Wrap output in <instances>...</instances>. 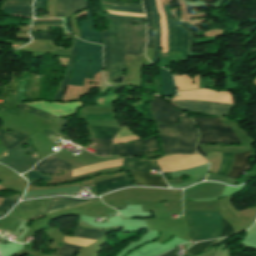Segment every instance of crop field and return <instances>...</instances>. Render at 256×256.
Instances as JSON below:
<instances>
[{"label": "crop field", "mask_w": 256, "mask_h": 256, "mask_svg": "<svg viewBox=\"0 0 256 256\" xmlns=\"http://www.w3.org/2000/svg\"><path fill=\"white\" fill-rule=\"evenodd\" d=\"M68 3H69V0H58L57 1L56 17H66L69 15Z\"/></svg>", "instance_id": "obj_37"}, {"label": "crop field", "mask_w": 256, "mask_h": 256, "mask_svg": "<svg viewBox=\"0 0 256 256\" xmlns=\"http://www.w3.org/2000/svg\"><path fill=\"white\" fill-rule=\"evenodd\" d=\"M160 150L157 136L154 135L142 141L112 147V154L140 157L142 153Z\"/></svg>", "instance_id": "obj_11"}, {"label": "crop field", "mask_w": 256, "mask_h": 256, "mask_svg": "<svg viewBox=\"0 0 256 256\" xmlns=\"http://www.w3.org/2000/svg\"><path fill=\"white\" fill-rule=\"evenodd\" d=\"M32 39L55 40L49 37V32H31Z\"/></svg>", "instance_id": "obj_42"}, {"label": "crop field", "mask_w": 256, "mask_h": 256, "mask_svg": "<svg viewBox=\"0 0 256 256\" xmlns=\"http://www.w3.org/2000/svg\"><path fill=\"white\" fill-rule=\"evenodd\" d=\"M27 137L28 136L16 131L8 133L0 130V140L8 150L19 144Z\"/></svg>", "instance_id": "obj_27"}, {"label": "crop field", "mask_w": 256, "mask_h": 256, "mask_svg": "<svg viewBox=\"0 0 256 256\" xmlns=\"http://www.w3.org/2000/svg\"><path fill=\"white\" fill-rule=\"evenodd\" d=\"M168 82H169V87H170V91L172 94H177L174 82H173V78L172 75L168 72Z\"/></svg>", "instance_id": "obj_48"}, {"label": "crop field", "mask_w": 256, "mask_h": 256, "mask_svg": "<svg viewBox=\"0 0 256 256\" xmlns=\"http://www.w3.org/2000/svg\"><path fill=\"white\" fill-rule=\"evenodd\" d=\"M163 172L178 171L191 168L207 161L198 154L168 155L157 160Z\"/></svg>", "instance_id": "obj_10"}, {"label": "crop field", "mask_w": 256, "mask_h": 256, "mask_svg": "<svg viewBox=\"0 0 256 256\" xmlns=\"http://www.w3.org/2000/svg\"><path fill=\"white\" fill-rule=\"evenodd\" d=\"M255 30H256V24L253 25L252 27H250V28H249L248 30H246V31L252 33V32H254Z\"/></svg>", "instance_id": "obj_55"}, {"label": "crop field", "mask_w": 256, "mask_h": 256, "mask_svg": "<svg viewBox=\"0 0 256 256\" xmlns=\"http://www.w3.org/2000/svg\"><path fill=\"white\" fill-rule=\"evenodd\" d=\"M156 124L158 126L159 137L162 141V147L165 154L180 153L177 129L181 153H194V145L198 135L188 116L184 115L181 118L180 123L176 126L177 129L175 126Z\"/></svg>", "instance_id": "obj_2"}, {"label": "crop field", "mask_w": 256, "mask_h": 256, "mask_svg": "<svg viewBox=\"0 0 256 256\" xmlns=\"http://www.w3.org/2000/svg\"><path fill=\"white\" fill-rule=\"evenodd\" d=\"M124 164L131 171H136V172H149V169H159L156 161H152V160H139L135 158H125Z\"/></svg>", "instance_id": "obj_24"}, {"label": "crop field", "mask_w": 256, "mask_h": 256, "mask_svg": "<svg viewBox=\"0 0 256 256\" xmlns=\"http://www.w3.org/2000/svg\"><path fill=\"white\" fill-rule=\"evenodd\" d=\"M143 2H144V9L147 14V25H148V46L147 47H153V28H152L151 14L149 9V2L148 0H143Z\"/></svg>", "instance_id": "obj_33"}, {"label": "crop field", "mask_w": 256, "mask_h": 256, "mask_svg": "<svg viewBox=\"0 0 256 256\" xmlns=\"http://www.w3.org/2000/svg\"><path fill=\"white\" fill-rule=\"evenodd\" d=\"M20 196L21 194L5 198L0 204V216L5 215L12 208V206L17 203Z\"/></svg>", "instance_id": "obj_32"}, {"label": "crop field", "mask_w": 256, "mask_h": 256, "mask_svg": "<svg viewBox=\"0 0 256 256\" xmlns=\"http://www.w3.org/2000/svg\"><path fill=\"white\" fill-rule=\"evenodd\" d=\"M254 58H256V54H255L249 61H251V60L254 59Z\"/></svg>", "instance_id": "obj_58"}, {"label": "crop field", "mask_w": 256, "mask_h": 256, "mask_svg": "<svg viewBox=\"0 0 256 256\" xmlns=\"http://www.w3.org/2000/svg\"><path fill=\"white\" fill-rule=\"evenodd\" d=\"M88 8V1L70 0L69 12L70 14Z\"/></svg>", "instance_id": "obj_36"}, {"label": "crop field", "mask_w": 256, "mask_h": 256, "mask_svg": "<svg viewBox=\"0 0 256 256\" xmlns=\"http://www.w3.org/2000/svg\"><path fill=\"white\" fill-rule=\"evenodd\" d=\"M192 241L218 238L223 229L220 213L184 212Z\"/></svg>", "instance_id": "obj_4"}, {"label": "crop field", "mask_w": 256, "mask_h": 256, "mask_svg": "<svg viewBox=\"0 0 256 256\" xmlns=\"http://www.w3.org/2000/svg\"><path fill=\"white\" fill-rule=\"evenodd\" d=\"M174 250H176V249H174ZM174 250H172V251H170V252H168V253H165V254H163V255H160V256H176V255L174 254Z\"/></svg>", "instance_id": "obj_53"}, {"label": "crop field", "mask_w": 256, "mask_h": 256, "mask_svg": "<svg viewBox=\"0 0 256 256\" xmlns=\"http://www.w3.org/2000/svg\"><path fill=\"white\" fill-rule=\"evenodd\" d=\"M102 3L115 5V6H124V7H136V8H142L141 4H127V3H117V2H111V1H103L99 0Z\"/></svg>", "instance_id": "obj_44"}, {"label": "crop field", "mask_w": 256, "mask_h": 256, "mask_svg": "<svg viewBox=\"0 0 256 256\" xmlns=\"http://www.w3.org/2000/svg\"><path fill=\"white\" fill-rule=\"evenodd\" d=\"M103 42H104V68H108L109 61H108V39L106 30H103Z\"/></svg>", "instance_id": "obj_41"}, {"label": "crop field", "mask_w": 256, "mask_h": 256, "mask_svg": "<svg viewBox=\"0 0 256 256\" xmlns=\"http://www.w3.org/2000/svg\"><path fill=\"white\" fill-rule=\"evenodd\" d=\"M224 224H225V229H224L222 237L234 234V231H233V228L231 227V225H229L225 220H224Z\"/></svg>", "instance_id": "obj_47"}, {"label": "crop field", "mask_w": 256, "mask_h": 256, "mask_svg": "<svg viewBox=\"0 0 256 256\" xmlns=\"http://www.w3.org/2000/svg\"><path fill=\"white\" fill-rule=\"evenodd\" d=\"M233 160H234V154L223 153L222 164H221L217 174L226 176L227 172L229 171V169L233 163Z\"/></svg>", "instance_id": "obj_31"}, {"label": "crop field", "mask_w": 256, "mask_h": 256, "mask_svg": "<svg viewBox=\"0 0 256 256\" xmlns=\"http://www.w3.org/2000/svg\"><path fill=\"white\" fill-rule=\"evenodd\" d=\"M27 144V146L29 148H22L21 146L24 144ZM33 151V147L31 142L27 139L25 140L23 143L17 145L16 147H14L12 150H10L7 154H5L4 156H2L0 158V162L9 166L12 163H14L15 161L19 160L20 158H22L23 156H25L26 154L30 153ZM38 162L37 158H29V157H23L22 159H20L19 161L15 162L14 164H12L11 168H13L14 170H16L19 173H23L27 170H30L32 168V166Z\"/></svg>", "instance_id": "obj_9"}, {"label": "crop field", "mask_w": 256, "mask_h": 256, "mask_svg": "<svg viewBox=\"0 0 256 256\" xmlns=\"http://www.w3.org/2000/svg\"><path fill=\"white\" fill-rule=\"evenodd\" d=\"M251 165L248 163V152L235 154V160L232 168L227 174V177L237 180L238 177L246 170H249Z\"/></svg>", "instance_id": "obj_22"}, {"label": "crop field", "mask_w": 256, "mask_h": 256, "mask_svg": "<svg viewBox=\"0 0 256 256\" xmlns=\"http://www.w3.org/2000/svg\"><path fill=\"white\" fill-rule=\"evenodd\" d=\"M150 2V9L153 19V24L155 26V41H154V57L152 63L158 62V53L160 51V27L158 23V15L155 8V0H149Z\"/></svg>", "instance_id": "obj_26"}, {"label": "crop field", "mask_w": 256, "mask_h": 256, "mask_svg": "<svg viewBox=\"0 0 256 256\" xmlns=\"http://www.w3.org/2000/svg\"><path fill=\"white\" fill-rule=\"evenodd\" d=\"M48 199L22 201L11 211L10 215L27 221L40 218L46 211Z\"/></svg>", "instance_id": "obj_12"}, {"label": "crop field", "mask_w": 256, "mask_h": 256, "mask_svg": "<svg viewBox=\"0 0 256 256\" xmlns=\"http://www.w3.org/2000/svg\"><path fill=\"white\" fill-rule=\"evenodd\" d=\"M126 23L128 46L126 54H141L146 43V35L144 24L139 23L137 27L132 26V23Z\"/></svg>", "instance_id": "obj_15"}, {"label": "crop field", "mask_w": 256, "mask_h": 256, "mask_svg": "<svg viewBox=\"0 0 256 256\" xmlns=\"http://www.w3.org/2000/svg\"><path fill=\"white\" fill-rule=\"evenodd\" d=\"M69 18H70V16L66 17V28L71 33L70 27H69Z\"/></svg>", "instance_id": "obj_54"}, {"label": "crop field", "mask_w": 256, "mask_h": 256, "mask_svg": "<svg viewBox=\"0 0 256 256\" xmlns=\"http://www.w3.org/2000/svg\"><path fill=\"white\" fill-rule=\"evenodd\" d=\"M111 20L108 29L109 39V79L119 74L124 69V53L126 49L127 36L124 21L144 22L141 18L122 17L106 15Z\"/></svg>", "instance_id": "obj_3"}, {"label": "crop field", "mask_w": 256, "mask_h": 256, "mask_svg": "<svg viewBox=\"0 0 256 256\" xmlns=\"http://www.w3.org/2000/svg\"><path fill=\"white\" fill-rule=\"evenodd\" d=\"M208 168H209V163L196 167L194 169L172 173L173 177L190 175L192 180L179 185H171V187L180 188V187L188 186L194 182L200 181L206 176Z\"/></svg>", "instance_id": "obj_20"}, {"label": "crop field", "mask_w": 256, "mask_h": 256, "mask_svg": "<svg viewBox=\"0 0 256 256\" xmlns=\"http://www.w3.org/2000/svg\"><path fill=\"white\" fill-rule=\"evenodd\" d=\"M61 191H66L67 195H73L75 192H80L78 186L75 187H70V188H60V189H49V190H40V191H31V192H26L24 196H29V195H37V194H45V193H53V192H61ZM62 193H54V194H46V195H38V196H30V197H24L25 198H33V197H40V196H47V195H55V194H63Z\"/></svg>", "instance_id": "obj_30"}, {"label": "crop field", "mask_w": 256, "mask_h": 256, "mask_svg": "<svg viewBox=\"0 0 256 256\" xmlns=\"http://www.w3.org/2000/svg\"><path fill=\"white\" fill-rule=\"evenodd\" d=\"M73 236L97 240V239L105 236V230H91V229L77 227ZM64 242L87 246L95 241L64 236Z\"/></svg>", "instance_id": "obj_17"}, {"label": "crop field", "mask_w": 256, "mask_h": 256, "mask_svg": "<svg viewBox=\"0 0 256 256\" xmlns=\"http://www.w3.org/2000/svg\"><path fill=\"white\" fill-rule=\"evenodd\" d=\"M136 136H137V135H136ZM136 136H130V137L122 138V139H117V140H115L114 144L125 143V142H128V141H132V140H137V139H139V138L136 137Z\"/></svg>", "instance_id": "obj_49"}, {"label": "crop field", "mask_w": 256, "mask_h": 256, "mask_svg": "<svg viewBox=\"0 0 256 256\" xmlns=\"http://www.w3.org/2000/svg\"><path fill=\"white\" fill-rule=\"evenodd\" d=\"M86 12L89 17V24H90V29H91V33H92V42L101 44V33L94 31L95 24H94V20H93L91 11L88 10ZM79 24H80V31H81V39L91 42V34H90V30L88 28V22L81 21V22H79Z\"/></svg>", "instance_id": "obj_23"}, {"label": "crop field", "mask_w": 256, "mask_h": 256, "mask_svg": "<svg viewBox=\"0 0 256 256\" xmlns=\"http://www.w3.org/2000/svg\"><path fill=\"white\" fill-rule=\"evenodd\" d=\"M150 111L152 118L165 124H174L176 123L177 117L183 115L179 110L156 96H154L150 103Z\"/></svg>", "instance_id": "obj_13"}, {"label": "crop field", "mask_w": 256, "mask_h": 256, "mask_svg": "<svg viewBox=\"0 0 256 256\" xmlns=\"http://www.w3.org/2000/svg\"><path fill=\"white\" fill-rule=\"evenodd\" d=\"M91 53V68L87 78L93 79L94 73L101 70L102 46L81 41L78 55L74 62V73L70 85L83 86L84 78L89 67V54Z\"/></svg>", "instance_id": "obj_5"}, {"label": "crop field", "mask_w": 256, "mask_h": 256, "mask_svg": "<svg viewBox=\"0 0 256 256\" xmlns=\"http://www.w3.org/2000/svg\"><path fill=\"white\" fill-rule=\"evenodd\" d=\"M254 84H256V78H255V80H254Z\"/></svg>", "instance_id": "obj_60"}, {"label": "crop field", "mask_w": 256, "mask_h": 256, "mask_svg": "<svg viewBox=\"0 0 256 256\" xmlns=\"http://www.w3.org/2000/svg\"><path fill=\"white\" fill-rule=\"evenodd\" d=\"M216 240L213 241H205V242H200V243H196L194 244L192 247H190L187 252L193 256L197 255L198 253H200L204 248H206L207 246H209L211 243L215 242Z\"/></svg>", "instance_id": "obj_38"}, {"label": "crop field", "mask_w": 256, "mask_h": 256, "mask_svg": "<svg viewBox=\"0 0 256 256\" xmlns=\"http://www.w3.org/2000/svg\"><path fill=\"white\" fill-rule=\"evenodd\" d=\"M136 185L167 186L163 177L148 176L149 173L130 172Z\"/></svg>", "instance_id": "obj_25"}, {"label": "crop field", "mask_w": 256, "mask_h": 256, "mask_svg": "<svg viewBox=\"0 0 256 256\" xmlns=\"http://www.w3.org/2000/svg\"><path fill=\"white\" fill-rule=\"evenodd\" d=\"M197 151L199 152V153H201L204 157L206 156V154H204L202 151H201V149H200V145L199 146H197Z\"/></svg>", "instance_id": "obj_56"}, {"label": "crop field", "mask_w": 256, "mask_h": 256, "mask_svg": "<svg viewBox=\"0 0 256 256\" xmlns=\"http://www.w3.org/2000/svg\"><path fill=\"white\" fill-rule=\"evenodd\" d=\"M28 105L34 106L36 108L42 109L44 111H47L49 113L55 114L57 116H62V115H68V114H73L76 113L77 109L79 107H82V102H75L71 104H65V103H47L44 101L41 102H31V103H26ZM23 103H19V109L33 113L35 115H38L42 118H45L47 120H50L52 122H56L57 116L49 114L47 112L41 111L39 109H36L34 107L28 106Z\"/></svg>", "instance_id": "obj_8"}, {"label": "crop field", "mask_w": 256, "mask_h": 256, "mask_svg": "<svg viewBox=\"0 0 256 256\" xmlns=\"http://www.w3.org/2000/svg\"><path fill=\"white\" fill-rule=\"evenodd\" d=\"M175 50H181V23L174 18ZM192 28L188 24V53H191ZM182 58H187V24L182 23Z\"/></svg>", "instance_id": "obj_16"}, {"label": "crop field", "mask_w": 256, "mask_h": 256, "mask_svg": "<svg viewBox=\"0 0 256 256\" xmlns=\"http://www.w3.org/2000/svg\"><path fill=\"white\" fill-rule=\"evenodd\" d=\"M175 13H176V15H177V18L180 20L178 10H176Z\"/></svg>", "instance_id": "obj_57"}, {"label": "crop field", "mask_w": 256, "mask_h": 256, "mask_svg": "<svg viewBox=\"0 0 256 256\" xmlns=\"http://www.w3.org/2000/svg\"><path fill=\"white\" fill-rule=\"evenodd\" d=\"M157 11L160 15V27H161V46L163 47L162 53L167 52V26L164 15V9L162 7L161 0H156Z\"/></svg>", "instance_id": "obj_28"}, {"label": "crop field", "mask_w": 256, "mask_h": 256, "mask_svg": "<svg viewBox=\"0 0 256 256\" xmlns=\"http://www.w3.org/2000/svg\"><path fill=\"white\" fill-rule=\"evenodd\" d=\"M253 67L256 66V61L254 62V64L252 65Z\"/></svg>", "instance_id": "obj_59"}, {"label": "crop field", "mask_w": 256, "mask_h": 256, "mask_svg": "<svg viewBox=\"0 0 256 256\" xmlns=\"http://www.w3.org/2000/svg\"><path fill=\"white\" fill-rule=\"evenodd\" d=\"M96 199H99V198H91V199H74V198H65V197L52 198L49 202L47 213H50L59 209H63V208L82 205Z\"/></svg>", "instance_id": "obj_19"}, {"label": "crop field", "mask_w": 256, "mask_h": 256, "mask_svg": "<svg viewBox=\"0 0 256 256\" xmlns=\"http://www.w3.org/2000/svg\"><path fill=\"white\" fill-rule=\"evenodd\" d=\"M35 23H52V24H58V23H62V21H40V22H34Z\"/></svg>", "instance_id": "obj_52"}, {"label": "crop field", "mask_w": 256, "mask_h": 256, "mask_svg": "<svg viewBox=\"0 0 256 256\" xmlns=\"http://www.w3.org/2000/svg\"><path fill=\"white\" fill-rule=\"evenodd\" d=\"M121 161L122 159L111 160L107 162L97 163V164L85 166L82 168L74 169L72 170V177L80 174H84L87 172H91V171L105 169L112 166H121L122 165ZM58 167H63L68 170L70 165L60 159H57L53 156H49L45 158L43 161L39 162L33 169L41 172L55 174ZM34 170L30 171V175H29L30 179L51 181V176L42 175L41 172L34 171Z\"/></svg>", "instance_id": "obj_6"}, {"label": "crop field", "mask_w": 256, "mask_h": 256, "mask_svg": "<svg viewBox=\"0 0 256 256\" xmlns=\"http://www.w3.org/2000/svg\"><path fill=\"white\" fill-rule=\"evenodd\" d=\"M174 80L178 90L198 88V75L194 77V85H192L191 77L189 75L174 76Z\"/></svg>", "instance_id": "obj_29"}, {"label": "crop field", "mask_w": 256, "mask_h": 256, "mask_svg": "<svg viewBox=\"0 0 256 256\" xmlns=\"http://www.w3.org/2000/svg\"><path fill=\"white\" fill-rule=\"evenodd\" d=\"M65 120H59L58 122V130H59V133L61 134L62 138L66 139L63 132H62V125L64 123Z\"/></svg>", "instance_id": "obj_51"}, {"label": "crop field", "mask_w": 256, "mask_h": 256, "mask_svg": "<svg viewBox=\"0 0 256 256\" xmlns=\"http://www.w3.org/2000/svg\"><path fill=\"white\" fill-rule=\"evenodd\" d=\"M167 25H168L169 51H171V50H174V23H173V19L167 20Z\"/></svg>", "instance_id": "obj_39"}, {"label": "crop field", "mask_w": 256, "mask_h": 256, "mask_svg": "<svg viewBox=\"0 0 256 256\" xmlns=\"http://www.w3.org/2000/svg\"><path fill=\"white\" fill-rule=\"evenodd\" d=\"M91 185V184H90ZM97 193H103L109 190L133 185L130 178L127 175L108 179L105 181L97 182L93 184Z\"/></svg>", "instance_id": "obj_18"}, {"label": "crop field", "mask_w": 256, "mask_h": 256, "mask_svg": "<svg viewBox=\"0 0 256 256\" xmlns=\"http://www.w3.org/2000/svg\"><path fill=\"white\" fill-rule=\"evenodd\" d=\"M201 133V143H238L242 144L230 126L222 127L218 118L192 117Z\"/></svg>", "instance_id": "obj_7"}, {"label": "crop field", "mask_w": 256, "mask_h": 256, "mask_svg": "<svg viewBox=\"0 0 256 256\" xmlns=\"http://www.w3.org/2000/svg\"><path fill=\"white\" fill-rule=\"evenodd\" d=\"M32 6V1H6L2 6Z\"/></svg>", "instance_id": "obj_43"}, {"label": "crop field", "mask_w": 256, "mask_h": 256, "mask_svg": "<svg viewBox=\"0 0 256 256\" xmlns=\"http://www.w3.org/2000/svg\"><path fill=\"white\" fill-rule=\"evenodd\" d=\"M161 74H162V93L164 97H169L170 92L167 84L166 70L161 68Z\"/></svg>", "instance_id": "obj_40"}, {"label": "crop field", "mask_w": 256, "mask_h": 256, "mask_svg": "<svg viewBox=\"0 0 256 256\" xmlns=\"http://www.w3.org/2000/svg\"><path fill=\"white\" fill-rule=\"evenodd\" d=\"M82 247L63 244L58 250V254L54 256H74Z\"/></svg>", "instance_id": "obj_35"}, {"label": "crop field", "mask_w": 256, "mask_h": 256, "mask_svg": "<svg viewBox=\"0 0 256 256\" xmlns=\"http://www.w3.org/2000/svg\"><path fill=\"white\" fill-rule=\"evenodd\" d=\"M179 96L174 97L176 100H196L204 102L233 104L231 93L213 92L206 89L194 91H181ZM196 101H176L172 102L183 110L190 112L204 113L212 116H228L233 105L213 104Z\"/></svg>", "instance_id": "obj_1"}, {"label": "crop field", "mask_w": 256, "mask_h": 256, "mask_svg": "<svg viewBox=\"0 0 256 256\" xmlns=\"http://www.w3.org/2000/svg\"><path fill=\"white\" fill-rule=\"evenodd\" d=\"M2 11L11 14H22V16L32 17V7H2Z\"/></svg>", "instance_id": "obj_34"}, {"label": "crop field", "mask_w": 256, "mask_h": 256, "mask_svg": "<svg viewBox=\"0 0 256 256\" xmlns=\"http://www.w3.org/2000/svg\"><path fill=\"white\" fill-rule=\"evenodd\" d=\"M104 8L109 9H116V10H124V11H132V12H138V13H144L143 9H134V8H124V7H113V6H105L102 5Z\"/></svg>", "instance_id": "obj_45"}, {"label": "crop field", "mask_w": 256, "mask_h": 256, "mask_svg": "<svg viewBox=\"0 0 256 256\" xmlns=\"http://www.w3.org/2000/svg\"><path fill=\"white\" fill-rule=\"evenodd\" d=\"M107 10V9H104ZM110 13L113 14H121V15H130V16H140V17H145L144 14H135V13H125V12H120V11H114V10H107Z\"/></svg>", "instance_id": "obj_50"}, {"label": "crop field", "mask_w": 256, "mask_h": 256, "mask_svg": "<svg viewBox=\"0 0 256 256\" xmlns=\"http://www.w3.org/2000/svg\"><path fill=\"white\" fill-rule=\"evenodd\" d=\"M45 1L46 0H35V3H34L35 17H37V9L43 8L45 10Z\"/></svg>", "instance_id": "obj_46"}, {"label": "crop field", "mask_w": 256, "mask_h": 256, "mask_svg": "<svg viewBox=\"0 0 256 256\" xmlns=\"http://www.w3.org/2000/svg\"><path fill=\"white\" fill-rule=\"evenodd\" d=\"M79 41H80V39L72 36L71 50L69 52V57H71V59H70V62H69L68 66L65 70L64 77H63V82L60 86V89L55 95V98H54L55 101H60L61 100V98L63 96V93L66 89L68 79H69V76H70V73H71L72 65H73V59L76 55L77 48H78V45H79Z\"/></svg>", "instance_id": "obj_21"}, {"label": "crop field", "mask_w": 256, "mask_h": 256, "mask_svg": "<svg viewBox=\"0 0 256 256\" xmlns=\"http://www.w3.org/2000/svg\"><path fill=\"white\" fill-rule=\"evenodd\" d=\"M91 132V137L113 139L120 128L106 127H88ZM89 138L96 143L97 151L95 154L99 156H107L110 153V146L113 140Z\"/></svg>", "instance_id": "obj_14"}]
</instances>
